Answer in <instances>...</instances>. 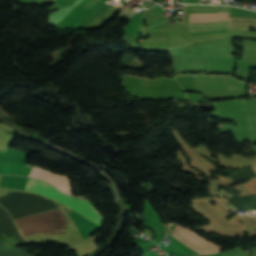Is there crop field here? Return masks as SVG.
Segmentation results:
<instances>
[{
  "label": "crop field",
  "instance_id": "obj_1",
  "mask_svg": "<svg viewBox=\"0 0 256 256\" xmlns=\"http://www.w3.org/2000/svg\"><path fill=\"white\" fill-rule=\"evenodd\" d=\"M49 185L44 182L29 178L24 190L37 192L54 198L61 203L69 206L74 211L91 220L92 222L100 226L102 225V217L93 209L89 202L85 200L74 199L72 197L64 195L60 191Z\"/></svg>",
  "mask_w": 256,
  "mask_h": 256
},
{
  "label": "crop field",
  "instance_id": "obj_2",
  "mask_svg": "<svg viewBox=\"0 0 256 256\" xmlns=\"http://www.w3.org/2000/svg\"><path fill=\"white\" fill-rule=\"evenodd\" d=\"M171 235L181 240L182 242H184L185 244H187L188 246L195 249L201 254L217 253L222 249V247H219L215 244H212L202 239L195 232L189 229L180 227L178 225H176Z\"/></svg>",
  "mask_w": 256,
  "mask_h": 256
},
{
  "label": "crop field",
  "instance_id": "obj_3",
  "mask_svg": "<svg viewBox=\"0 0 256 256\" xmlns=\"http://www.w3.org/2000/svg\"><path fill=\"white\" fill-rule=\"evenodd\" d=\"M30 177L45 180L53 184L57 189L71 195V183L69 176H60L48 170L35 167Z\"/></svg>",
  "mask_w": 256,
  "mask_h": 256
},
{
  "label": "crop field",
  "instance_id": "obj_4",
  "mask_svg": "<svg viewBox=\"0 0 256 256\" xmlns=\"http://www.w3.org/2000/svg\"><path fill=\"white\" fill-rule=\"evenodd\" d=\"M231 20L210 22V23H189V32H200V31H211V30H221L226 28L234 29H245V28H235L230 27ZM250 30V29H245Z\"/></svg>",
  "mask_w": 256,
  "mask_h": 256
},
{
  "label": "crop field",
  "instance_id": "obj_5",
  "mask_svg": "<svg viewBox=\"0 0 256 256\" xmlns=\"http://www.w3.org/2000/svg\"><path fill=\"white\" fill-rule=\"evenodd\" d=\"M31 167L10 165V164H0V174H16L28 176Z\"/></svg>",
  "mask_w": 256,
  "mask_h": 256
},
{
  "label": "crop field",
  "instance_id": "obj_6",
  "mask_svg": "<svg viewBox=\"0 0 256 256\" xmlns=\"http://www.w3.org/2000/svg\"><path fill=\"white\" fill-rule=\"evenodd\" d=\"M253 169L256 171V167H253Z\"/></svg>",
  "mask_w": 256,
  "mask_h": 256
},
{
  "label": "crop field",
  "instance_id": "obj_7",
  "mask_svg": "<svg viewBox=\"0 0 256 256\" xmlns=\"http://www.w3.org/2000/svg\"><path fill=\"white\" fill-rule=\"evenodd\" d=\"M49 1H51V0H49Z\"/></svg>",
  "mask_w": 256,
  "mask_h": 256
}]
</instances>
